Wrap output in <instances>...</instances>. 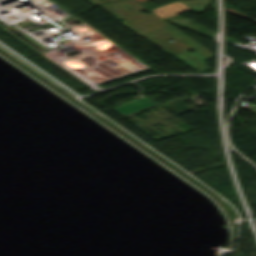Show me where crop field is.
<instances>
[{
    "mask_svg": "<svg viewBox=\"0 0 256 256\" xmlns=\"http://www.w3.org/2000/svg\"><path fill=\"white\" fill-rule=\"evenodd\" d=\"M99 7L117 19H122L123 21L120 23L133 30L137 35L160 46L196 71L201 72L209 69L202 61L209 59L213 53L134 0H124ZM142 8L147 10L149 14H141ZM169 39H174L175 42L167 41ZM189 49L195 52L189 53L187 51Z\"/></svg>",
    "mask_w": 256,
    "mask_h": 256,
    "instance_id": "crop-field-1",
    "label": "crop field"
},
{
    "mask_svg": "<svg viewBox=\"0 0 256 256\" xmlns=\"http://www.w3.org/2000/svg\"><path fill=\"white\" fill-rule=\"evenodd\" d=\"M88 1H90L92 4L96 5V4L113 1V0H88Z\"/></svg>",
    "mask_w": 256,
    "mask_h": 256,
    "instance_id": "crop-field-4",
    "label": "crop field"
},
{
    "mask_svg": "<svg viewBox=\"0 0 256 256\" xmlns=\"http://www.w3.org/2000/svg\"><path fill=\"white\" fill-rule=\"evenodd\" d=\"M138 2H143V1H145V0H137Z\"/></svg>",
    "mask_w": 256,
    "mask_h": 256,
    "instance_id": "crop-field-5",
    "label": "crop field"
},
{
    "mask_svg": "<svg viewBox=\"0 0 256 256\" xmlns=\"http://www.w3.org/2000/svg\"><path fill=\"white\" fill-rule=\"evenodd\" d=\"M183 4L191 8L197 13L203 12L206 5L209 3V0H187L181 1Z\"/></svg>",
    "mask_w": 256,
    "mask_h": 256,
    "instance_id": "crop-field-3",
    "label": "crop field"
},
{
    "mask_svg": "<svg viewBox=\"0 0 256 256\" xmlns=\"http://www.w3.org/2000/svg\"><path fill=\"white\" fill-rule=\"evenodd\" d=\"M187 10H190V9L178 1L173 4H169V5H166L163 7L156 8V9L152 10V12H154L161 18L165 19L167 17H170L172 15H175V14L187 11Z\"/></svg>",
    "mask_w": 256,
    "mask_h": 256,
    "instance_id": "crop-field-2",
    "label": "crop field"
}]
</instances>
